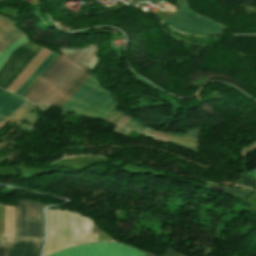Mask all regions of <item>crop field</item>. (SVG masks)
<instances>
[{
  "label": "crop field",
  "mask_w": 256,
  "mask_h": 256,
  "mask_svg": "<svg viewBox=\"0 0 256 256\" xmlns=\"http://www.w3.org/2000/svg\"><path fill=\"white\" fill-rule=\"evenodd\" d=\"M96 52V46L92 45L84 49L61 48L60 53L65 55L26 98L51 105L87 67L93 70L99 59L94 56Z\"/></svg>",
  "instance_id": "obj_1"
},
{
  "label": "crop field",
  "mask_w": 256,
  "mask_h": 256,
  "mask_svg": "<svg viewBox=\"0 0 256 256\" xmlns=\"http://www.w3.org/2000/svg\"><path fill=\"white\" fill-rule=\"evenodd\" d=\"M45 254L92 241L93 222L82 215L68 211L50 210Z\"/></svg>",
  "instance_id": "obj_2"
},
{
  "label": "crop field",
  "mask_w": 256,
  "mask_h": 256,
  "mask_svg": "<svg viewBox=\"0 0 256 256\" xmlns=\"http://www.w3.org/2000/svg\"><path fill=\"white\" fill-rule=\"evenodd\" d=\"M102 88L93 74L62 108L95 118L100 110L113 99L111 94Z\"/></svg>",
  "instance_id": "obj_3"
},
{
  "label": "crop field",
  "mask_w": 256,
  "mask_h": 256,
  "mask_svg": "<svg viewBox=\"0 0 256 256\" xmlns=\"http://www.w3.org/2000/svg\"><path fill=\"white\" fill-rule=\"evenodd\" d=\"M44 205L18 201L15 215L14 236L43 238Z\"/></svg>",
  "instance_id": "obj_4"
},
{
  "label": "crop field",
  "mask_w": 256,
  "mask_h": 256,
  "mask_svg": "<svg viewBox=\"0 0 256 256\" xmlns=\"http://www.w3.org/2000/svg\"><path fill=\"white\" fill-rule=\"evenodd\" d=\"M182 11L167 22L172 28L184 33L209 36L220 35L222 30L226 27L219 25L203 16L190 11L189 5H185L181 8Z\"/></svg>",
  "instance_id": "obj_5"
},
{
  "label": "crop field",
  "mask_w": 256,
  "mask_h": 256,
  "mask_svg": "<svg viewBox=\"0 0 256 256\" xmlns=\"http://www.w3.org/2000/svg\"><path fill=\"white\" fill-rule=\"evenodd\" d=\"M145 252L121 243L98 242L64 249L49 256H144Z\"/></svg>",
  "instance_id": "obj_6"
},
{
  "label": "crop field",
  "mask_w": 256,
  "mask_h": 256,
  "mask_svg": "<svg viewBox=\"0 0 256 256\" xmlns=\"http://www.w3.org/2000/svg\"><path fill=\"white\" fill-rule=\"evenodd\" d=\"M43 239L7 237L0 256H39Z\"/></svg>",
  "instance_id": "obj_7"
},
{
  "label": "crop field",
  "mask_w": 256,
  "mask_h": 256,
  "mask_svg": "<svg viewBox=\"0 0 256 256\" xmlns=\"http://www.w3.org/2000/svg\"><path fill=\"white\" fill-rule=\"evenodd\" d=\"M37 47L30 41L25 42L13 51L0 69V87L8 79L11 73L19 66L25 57Z\"/></svg>",
  "instance_id": "obj_8"
},
{
  "label": "crop field",
  "mask_w": 256,
  "mask_h": 256,
  "mask_svg": "<svg viewBox=\"0 0 256 256\" xmlns=\"http://www.w3.org/2000/svg\"><path fill=\"white\" fill-rule=\"evenodd\" d=\"M16 24V22L0 16V53L4 52L9 45L24 35L15 27Z\"/></svg>",
  "instance_id": "obj_9"
},
{
  "label": "crop field",
  "mask_w": 256,
  "mask_h": 256,
  "mask_svg": "<svg viewBox=\"0 0 256 256\" xmlns=\"http://www.w3.org/2000/svg\"><path fill=\"white\" fill-rule=\"evenodd\" d=\"M25 101L26 100L21 97H17L7 91L2 90L0 92V116L7 118Z\"/></svg>",
  "instance_id": "obj_10"
},
{
  "label": "crop field",
  "mask_w": 256,
  "mask_h": 256,
  "mask_svg": "<svg viewBox=\"0 0 256 256\" xmlns=\"http://www.w3.org/2000/svg\"><path fill=\"white\" fill-rule=\"evenodd\" d=\"M200 131V128H195L192 130H187L189 135L171 133L170 142H175L183 148L196 151L198 144V135Z\"/></svg>",
  "instance_id": "obj_11"
},
{
  "label": "crop field",
  "mask_w": 256,
  "mask_h": 256,
  "mask_svg": "<svg viewBox=\"0 0 256 256\" xmlns=\"http://www.w3.org/2000/svg\"><path fill=\"white\" fill-rule=\"evenodd\" d=\"M92 74L89 70H86L53 105L61 107Z\"/></svg>",
  "instance_id": "obj_12"
},
{
  "label": "crop field",
  "mask_w": 256,
  "mask_h": 256,
  "mask_svg": "<svg viewBox=\"0 0 256 256\" xmlns=\"http://www.w3.org/2000/svg\"><path fill=\"white\" fill-rule=\"evenodd\" d=\"M57 55L58 54L52 52L48 58L37 68V70L26 80V82L15 92V94L21 96Z\"/></svg>",
  "instance_id": "obj_13"
},
{
  "label": "crop field",
  "mask_w": 256,
  "mask_h": 256,
  "mask_svg": "<svg viewBox=\"0 0 256 256\" xmlns=\"http://www.w3.org/2000/svg\"><path fill=\"white\" fill-rule=\"evenodd\" d=\"M42 47L38 46L34 51H32L26 59L20 64V66L14 71V73L9 77V79L4 83L2 88L6 89L12 81L19 75V73L28 65V63L33 59V57L41 51Z\"/></svg>",
  "instance_id": "obj_14"
},
{
  "label": "crop field",
  "mask_w": 256,
  "mask_h": 256,
  "mask_svg": "<svg viewBox=\"0 0 256 256\" xmlns=\"http://www.w3.org/2000/svg\"><path fill=\"white\" fill-rule=\"evenodd\" d=\"M146 126L141 122L139 121L138 119H134V118H131L124 126L123 128L120 130V134H123V135H126L128 136V134L131 132V130H135L137 132H140L142 133L143 129L145 128Z\"/></svg>",
  "instance_id": "obj_15"
},
{
  "label": "crop field",
  "mask_w": 256,
  "mask_h": 256,
  "mask_svg": "<svg viewBox=\"0 0 256 256\" xmlns=\"http://www.w3.org/2000/svg\"><path fill=\"white\" fill-rule=\"evenodd\" d=\"M117 103H115L110 110L107 112V114L104 116V120H108L110 122H113L117 124V122L124 116L122 113L115 111L117 107Z\"/></svg>",
  "instance_id": "obj_16"
},
{
  "label": "crop field",
  "mask_w": 256,
  "mask_h": 256,
  "mask_svg": "<svg viewBox=\"0 0 256 256\" xmlns=\"http://www.w3.org/2000/svg\"><path fill=\"white\" fill-rule=\"evenodd\" d=\"M27 37L26 35L19 39L18 41H16L15 43H13L8 49H6V51L1 55L0 54V67L3 65V63L5 62V60L7 59V57L9 56V54L16 49L19 45H21L22 43H24L25 41H27Z\"/></svg>",
  "instance_id": "obj_17"
},
{
  "label": "crop field",
  "mask_w": 256,
  "mask_h": 256,
  "mask_svg": "<svg viewBox=\"0 0 256 256\" xmlns=\"http://www.w3.org/2000/svg\"><path fill=\"white\" fill-rule=\"evenodd\" d=\"M62 57V55H58L51 64L46 68V70L41 74V76L27 89V91L22 95V97H26L27 94L42 80V78L50 71V69L58 62V60Z\"/></svg>",
  "instance_id": "obj_18"
},
{
  "label": "crop field",
  "mask_w": 256,
  "mask_h": 256,
  "mask_svg": "<svg viewBox=\"0 0 256 256\" xmlns=\"http://www.w3.org/2000/svg\"><path fill=\"white\" fill-rule=\"evenodd\" d=\"M169 134L170 133H166V132H162V131H157L153 140H157V141H162V142H167L168 138H169Z\"/></svg>",
  "instance_id": "obj_19"
},
{
  "label": "crop field",
  "mask_w": 256,
  "mask_h": 256,
  "mask_svg": "<svg viewBox=\"0 0 256 256\" xmlns=\"http://www.w3.org/2000/svg\"><path fill=\"white\" fill-rule=\"evenodd\" d=\"M116 101L113 99L106 107H104L101 112L98 114L96 118L102 119L103 116L106 114L108 109L115 103Z\"/></svg>",
  "instance_id": "obj_20"
},
{
  "label": "crop field",
  "mask_w": 256,
  "mask_h": 256,
  "mask_svg": "<svg viewBox=\"0 0 256 256\" xmlns=\"http://www.w3.org/2000/svg\"><path fill=\"white\" fill-rule=\"evenodd\" d=\"M180 253L168 246L162 256H178Z\"/></svg>",
  "instance_id": "obj_21"
},
{
  "label": "crop field",
  "mask_w": 256,
  "mask_h": 256,
  "mask_svg": "<svg viewBox=\"0 0 256 256\" xmlns=\"http://www.w3.org/2000/svg\"><path fill=\"white\" fill-rule=\"evenodd\" d=\"M128 119H130V117L124 116V117L119 121V123L115 126V128H114L113 131L118 132L119 129L125 124V122H126Z\"/></svg>",
  "instance_id": "obj_22"
},
{
  "label": "crop field",
  "mask_w": 256,
  "mask_h": 256,
  "mask_svg": "<svg viewBox=\"0 0 256 256\" xmlns=\"http://www.w3.org/2000/svg\"><path fill=\"white\" fill-rule=\"evenodd\" d=\"M40 110L45 111L49 106L36 105Z\"/></svg>",
  "instance_id": "obj_23"
},
{
  "label": "crop field",
  "mask_w": 256,
  "mask_h": 256,
  "mask_svg": "<svg viewBox=\"0 0 256 256\" xmlns=\"http://www.w3.org/2000/svg\"><path fill=\"white\" fill-rule=\"evenodd\" d=\"M6 237H0V250Z\"/></svg>",
  "instance_id": "obj_24"
},
{
  "label": "crop field",
  "mask_w": 256,
  "mask_h": 256,
  "mask_svg": "<svg viewBox=\"0 0 256 256\" xmlns=\"http://www.w3.org/2000/svg\"><path fill=\"white\" fill-rule=\"evenodd\" d=\"M145 256H152V255H150V254L146 253V255H145Z\"/></svg>",
  "instance_id": "obj_25"
},
{
  "label": "crop field",
  "mask_w": 256,
  "mask_h": 256,
  "mask_svg": "<svg viewBox=\"0 0 256 256\" xmlns=\"http://www.w3.org/2000/svg\"><path fill=\"white\" fill-rule=\"evenodd\" d=\"M3 120V118H0V122Z\"/></svg>",
  "instance_id": "obj_26"
},
{
  "label": "crop field",
  "mask_w": 256,
  "mask_h": 256,
  "mask_svg": "<svg viewBox=\"0 0 256 256\" xmlns=\"http://www.w3.org/2000/svg\"><path fill=\"white\" fill-rule=\"evenodd\" d=\"M0 91H1V89H0Z\"/></svg>",
  "instance_id": "obj_27"
},
{
  "label": "crop field",
  "mask_w": 256,
  "mask_h": 256,
  "mask_svg": "<svg viewBox=\"0 0 256 256\" xmlns=\"http://www.w3.org/2000/svg\"><path fill=\"white\" fill-rule=\"evenodd\" d=\"M181 256V255H180Z\"/></svg>",
  "instance_id": "obj_28"
}]
</instances>
